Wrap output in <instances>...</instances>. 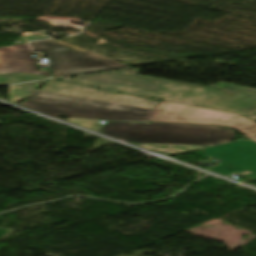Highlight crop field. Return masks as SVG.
<instances>
[{
	"label": "crop field",
	"instance_id": "obj_10",
	"mask_svg": "<svg viewBox=\"0 0 256 256\" xmlns=\"http://www.w3.org/2000/svg\"><path fill=\"white\" fill-rule=\"evenodd\" d=\"M46 34H47L46 31L37 32V33H27V34L21 35L17 39V41H19L20 44H23V43H26V41H28V40H40V39L50 38V37L44 36ZM13 45H16V42Z\"/></svg>",
	"mask_w": 256,
	"mask_h": 256
},
{
	"label": "crop field",
	"instance_id": "obj_12",
	"mask_svg": "<svg viewBox=\"0 0 256 256\" xmlns=\"http://www.w3.org/2000/svg\"><path fill=\"white\" fill-rule=\"evenodd\" d=\"M7 232H9V231L0 228V238H1L3 235H5Z\"/></svg>",
	"mask_w": 256,
	"mask_h": 256
},
{
	"label": "crop field",
	"instance_id": "obj_5",
	"mask_svg": "<svg viewBox=\"0 0 256 256\" xmlns=\"http://www.w3.org/2000/svg\"><path fill=\"white\" fill-rule=\"evenodd\" d=\"M206 155L220 160L216 167L208 171L227 176L242 175L256 181V143L244 140L201 149Z\"/></svg>",
	"mask_w": 256,
	"mask_h": 256
},
{
	"label": "crop field",
	"instance_id": "obj_7",
	"mask_svg": "<svg viewBox=\"0 0 256 256\" xmlns=\"http://www.w3.org/2000/svg\"><path fill=\"white\" fill-rule=\"evenodd\" d=\"M144 148L154 149L169 155L188 152L195 149L203 148L204 146H190V145H162V144H137Z\"/></svg>",
	"mask_w": 256,
	"mask_h": 256
},
{
	"label": "crop field",
	"instance_id": "obj_8",
	"mask_svg": "<svg viewBox=\"0 0 256 256\" xmlns=\"http://www.w3.org/2000/svg\"><path fill=\"white\" fill-rule=\"evenodd\" d=\"M69 19L75 20V21L80 20V19H77V18H53V17H38L37 18V20H39V21L51 22L53 24V26L83 28L81 26L71 25V24L67 23V21Z\"/></svg>",
	"mask_w": 256,
	"mask_h": 256
},
{
	"label": "crop field",
	"instance_id": "obj_9",
	"mask_svg": "<svg viewBox=\"0 0 256 256\" xmlns=\"http://www.w3.org/2000/svg\"><path fill=\"white\" fill-rule=\"evenodd\" d=\"M68 122L89 128L96 129L100 127V120H92V119H75V118H66Z\"/></svg>",
	"mask_w": 256,
	"mask_h": 256
},
{
	"label": "crop field",
	"instance_id": "obj_3",
	"mask_svg": "<svg viewBox=\"0 0 256 256\" xmlns=\"http://www.w3.org/2000/svg\"><path fill=\"white\" fill-rule=\"evenodd\" d=\"M29 44L33 51L41 50L50 59L53 77L130 67L55 39Z\"/></svg>",
	"mask_w": 256,
	"mask_h": 256
},
{
	"label": "crop field",
	"instance_id": "obj_6",
	"mask_svg": "<svg viewBox=\"0 0 256 256\" xmlns=\"http://www.w3.org/2000/svg\"><path fill=\"white\" fill-rule=\"evenodd\" d=\"M27 44L0 48V75L27 74L49 78L47 71H38Z\"/></svg>",
	"mask_w": 256,
	"mask_h": 256
},
{
	"label": "crop field",
	"instance_id": "obj_1",
	"mask_svg": "<svg viewBox=\"0 0 256 256\" xmlns=\"http://www.w3.org/2000/svg\"><path fill=\"white\" fill-rule=\"evenodd\" d=\"M97 132L129 143L218 145L235 139L228 127L109 122Z\"/></svg>",
	"mask_w": 256,
	"mask_h": 256
},
{
	"label": "crop field",
	"instance_id": "obj_11",
	"mask_svg": "<svg viewBox=\"0 0 256 256\" xmlns=\"http://www.w3.org/2000/svg\"><path fill=\"white\" fill-rule=\"evenodd\" d=\"M33 80H41V79L26 77V76L0 77V85L17 83V82H25V81H33Z\"/></svg>",
	"mask_w": 256,
	"mask_h": 256
},
{
	"label": "crop field",
	"instance_id": "obj_4",
	"mask_svg": "<svg viewBox=\"0 0 256 256\" xmlns=\"http://www.w3.org/2000/svg\"><path fill=\"white\" fill-rule=\"evenodd\" d=\"M149 121L203 125H228L256 141V123L238 114L161 101Z\"/></svg>",
	"mask_w": 256,
	"mask_h": 256
},
{
	"label": "crop field",
	"instance_id": "obj_13",
	"mask_svg": "<svg viewBox=\"0 0 256 256\" xmlns=\"http://www.w3.org/2000/svg\"><path fill=\"white\" fill-rule=\"evenodd\" d=\"M51 26H52V24H51Z\"/></svg>",
	"mask_w": 256,
	"mask_h": 256
},
{
	"label": "crop field",
	"instance_id": "obj_2",
	"mask_svg": "<svg viewBox=\"0 0 256 256\" xmlns=\"http://www.w3.org/2000/svg\"><path fill=\"white\" fill-rule=\"evenodd\" d=\"M19 105L51 117H75L120 121H147L150 110L35 92Z\"/></svg>",
	"mask_w": 256,
	"mask_h": 256
}]
</instances>
